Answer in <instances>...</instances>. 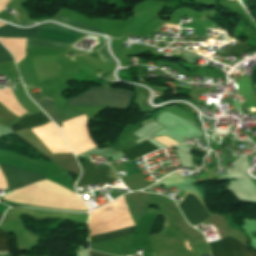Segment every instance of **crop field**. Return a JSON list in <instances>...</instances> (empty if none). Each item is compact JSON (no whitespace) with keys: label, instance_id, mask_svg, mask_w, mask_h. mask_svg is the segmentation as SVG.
Segmentation results:
<instances>
[{"label":"crop field","instance_id":"obj_18","mask_svg":"<svg viewBox=\"0 0 256 256\" xmlns=\"http://www.w3.org/2000/svg\"><path fill=\"white\" fill-rule=\"evenodd\" d=\"M251 234H252L253 238H256V232H252Z\"/></svg>","mask_w":256,"mask_h":256},{"label":"crop field","instance_id":"obj_19","mask_svg":"<svg viewBox=\"0 0 256 256\" xmlns=\"http://www.w3.org/2000/svg\"><path fill=\"white\" fill-rule=\"evenodd\" d=\"M199 256H211L210 254H204V255H199Z\"/></svg>","mask_w":256,"mask_h":256},{"label":"crop field","instance_id":"obj_7","mask_svg":"<svg viewBox=\"0 0 256 256\" xmlns=\"http://www.w3.org/2000/svg\"><path fill=\"white\" fill-rule=\"evenodd\" d=\"M47 114L48 116L56 123H60L72 118H75L77 116L83 115L82 113L78 112L77 110L73 109V108H67V109H59V108H52L57 115L62 119H60L56 113L50 108V107H44V106H40Z\"/></svg>","mask_w":256,"mask_h":256},{"label":"crop field","instance_id":"obj_11","mask_svg":"<svg viewBox=\"0 0 256 256\" xmlns=\"http://www.w3.org/2000/svg\"><path fill=\"white\" fill-rule=\"evenodd\" d=\"M53 19H56L60 22H63V23H66V24H69V25H72L74 27H77V28H80V29H84V30H90V31H96V32H101L100 30L92 27V26H89L87 24H83V23H79L77 21H74V20H70V19H67L65 17H62V16H58L56 18H53ZM102 33V32H101Z\"/></svg>","mask_w":256,"mask_h":256},{"label":"crop field","instance_id":"obj_4","mask_svg":"<svg viewBox=\"0 0 256 256\" xmlns=\"http://www.w3.org/2000/svg\"><path fill=\"white\" fill-rule=\"evenodd\" d=\"M179 206L186 213L192 225L209 217L194 195L188 194Z\"/></svg>","mask_w":256,"mask_h":256},{"label":"crop field","instance_id":"obj_21","mask_svg":"<svg viewBox=\"0 0 256 256\" xmlns=\"http://www.w3.org/2000/svg\"><path fill=\"white\" fill-rule=\"evenodd\" d=\"M3 216V215H2ZM0 217H1V215H0Z\"/></svg>","mask_w":256,"mask_h":256},{"label":"crop field","instance_id":"obj_13","mask_svg":"<svg viewBox=\"0 0 256 256\" xmlns=\"http://www.w3.org/2000/svg\"><path fill=\"white\" fill-rule=\"evenodd\" d=\"M13 60L10 53L0 44V63L3 61Z\"/></svg>","mask_w":256,"mask_h":256},{"label":"crop field","instance_id":"obj_12","mask_svg":"<svg viewBox=\"0 0 256 256\" xmlns=\"http://www.w3.org/2000/svg\"><path fill=\"white\" fill-rule=\"evenodd\" d=\"M9 250L7 234L0 230V251Z\"/></svg>","mask_w":256,"mask_h":256},{"label":"crop field","instance_id":"obj_10","mask_svg":"<svg viewBox=\"0 0 256 256\" xmlns=\"http://www.w3.org/2000/svg\"><path fill=\"white\" fill-rule=\"evenodd\" d=\"M135 233V226L91 237L92 243Z\"/></svg>","mask_w":256,"mask_h":256},{"label":"crop field","instance_id":"obj_1","mask_svg":"<svg viewBox=\"0 0 256 256\" xmlns=\"http://www.w3.org/2000/svg\"><path fill=\"white\" fill-rule=\"evenodd\" d=\"M130 98L131 94L120 91L93 89L80 97L69 100L67 104L125 109L129 105Z\"/></svg>","mask_w":256,"mask_h":256},{"label":"crop field","instance_id":"obj_5","mask_svg":"<svg viewBox=\"0 0 256 256\" xmlns=\"http://www.w3.org/2000/svg\"><path fill=\"white\" fill-rule=\"evenodd\" d=\"M7 168L10 174L9 189L15 190L27 185L28 171L9 167ZM42 179H44V175L29 171L28 185Z\"/></svg>","mask_w":256,"mask_h":256},{"label":"crop field","instance_id":"obj_6","mask_svg":"<svg viewBox=\"0 0 256 256\" xmlns=\"http://www.w3.org/2000/svg\"><path fill=\"white\" fill-rule=\"evenodd\" d=\"M51 121L42 111L27 116L23 119H21L19 122L15 123L14 125L10 126L12 131L25 129V128H31L36 126H41Z\"/></svg>","mask_w":256,"mask_h":256},{"label":"crop field","instance_id":"obj_8","mask_svg":"<svg viewBox=\"0 0 256 256\" xmlns=\"http://www.w3.org/2000/svg\"><path fill=\"white\" fill-rule=\"evenodd\" d=\"M38 27L20 30L11 26H4L0 28V37H17V38H37Z\"/></svg>","mask_w":256,"mask_h":256},{"label":"crop field","instance_id":"obj_16","mask_svg":"<svg viewBox=\"0 0 256 256\" xmlns=\"http://www.w3.org/2000/svg\"><path fill=\"white\" fill-rule=\"evenodd\" d=\"M29 94V93H28ZM29 96L37 103V104H39V100L34 96V95H32V94H29Z\"/></svg>","mask_w":256,"mask_h":256},{"label":"crop field","instance_id":"obj_17","mask_svg":"<svg viewBox=\"0 0 256 256\" xmlns=\"http://www.w3.org/2000/svg\"><path fill=\"white\" fill-rule=\"evenodd\" d=\"M89 256H106V255H102V254L90 252V253H89Z\"/></svg>","mask_w":256,"mask_h":256},{"label":"crop field","instance_id":"obj_2","mask_svg":"<svg viewBox=\"0 0 256 256\" xmlns=\"http://www.w3.org/2000/svg\"><path fill=\"white\" fill-rule=\"evenodd\" d=\"M39 28H53L63 32H67L77 36H84V33L68 30L64 27L53 25V24H41ZM52 29H39L38 38L53 39L69 44L74 43L80 37H76L67 33H63ZM44 39H28L27 47H44V48H59V49H70V45L62 42Z\"/></svg>","mask_w":256,"mask_h":256},{"label":"crop field","instance_id":"obj_9","mask_svg":"<svg viewBox=\"0 0 256 256\" xmlns=\"http://www.w3.org/2000/svg\"><path fill=\"white\" fill-rule=\"evenodd\" d=\"M147 141L138 144L137 146L130 150L122 151L121 153L124 154L131 161L139 156L148 154L152 151L159 149Z\"/></svg>","mask_w":256,"mask_h":256},{"label":"crop field","instance_id":"obj_3","mask_svg":"<svg viewBox=\"0 0 256 256\" xmlns=\"http://www.w3.org/2000/svg\"><path fill=\"white\" fill-rule=\"evenodd\" d=\"M212 256H256L233 238L229 237L221 241L209 243Z\"/></svg>","mask_w":256,"mask_h":256},{"label":"crop field","instance_id":"obj_20","mask_svg":"<svg viewBox=\"0 0 256 256\" xmlns=\"http://www.w3.org/2000/svg\"><path fill=\"white\" fill-rule=\"evenodd\" d=\"M13 92V91H12ZM14 96V95H13ZM21 105V104H20ZM22 106V105H21ZM23 107V106H22Z\"/></svg>","mask_w":256,"mask_h":256},{"label":"crop field","instance_id":"obj_15","mask_svg":"<svg viewBox=\"0 0 256 256\" xmlns=\"http://www.w3.org/2000/svg\"><path fill=\"white\" fill-rule=\"evenodd\" d=\"M42 105H46V106H55L54 101L48 100V99H45V98H44V100H43V102H42Z\"/></svg>","mask_w":256,"mask_h":256},{"label":"crop field","instance_id":"obj_14","mask_svg":"<svg viewBox=\"0 0 256 256\" xmlns=\"http://www.w3.org/2000/svg\"><path fill=\"white\" fill-rule=\"evenodd\" d=\"M98 52L102 55V57H103L105 63L113 62V60L108 56V54H107L105 48L101 49V50L98 51ZM100 54H99V55H100ZM100 57H101V56H100ZM101 59H102V58H101Z\"/></svg>","mask_w":256,"mask_h":256}]
</instances>
